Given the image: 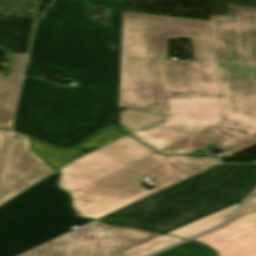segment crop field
<instances>
[{
    "mask_svg": "<svg viewBox=\"0 0 256 256\" xmlns=\"http://www.w3.org/2000/svg\"><path fill=\"white\" fill-rule=\"evenodd\" d=\"M58 172L0 206V256H15L90 219L77 218Z\"/></svg>",
    "mask_w": 256,
    "mask_h": 256,
    "instance_id": "f4fd0767",
    "label": "crop field"
},
{
    "mask_svg": "<svg viewBox=\"0 0 256 256\" xmlns=\"http://www.w3.org/2000/svg\"><path fill=\"white\" fill-rule=\"evenodd\" d=\"M124 135H126V134L121 132V131H119V132L115 133L114 135H112L111 137L107 138L106 140H104L103 142L99 143L98 145H96L95 147H93L91 149L95 150V149H97V148H99V147H101V146H103V145H105V144H107V143L117 139V138H120V137H122Z\"/></svg>",
    "mask_w": 256,
    "mask_h": 256,
    "instance_id": "dafd665d",
    "label": "crop field"
},
{
    "mask_svg": "<svg viewBox=\"0 0 256 256\" xmlns=\"http://www.w3.org/2000/svg\"><path fill=\"white\" fill-rule=\"evenodd\" d=\"M181 240L182 239H178L175 237L161 236L157 239H154L150 242H147L143 245H140L136 248L126 251L122 254L125 256H147V255L152 254L158 250H161L167 246L177 243Z\"/></svg>",
    "mask_w": 256,
    "mask_h": 256,
    "instance_id": "733c2abd",
    "label": "crop field"
},
{
    "mask_svg": "<svg viewBox=\"0 0 256 256\" xmlns=\"http://www.w3.org/2000/svg\"><path fill=\"white\" fill-rule=\"evenodd\" d=\"M165 116L155 113H145L136 110H125L120 112V125L130 134L146 125H149Z\"/></svg>",
    "mask_w": 256,
    "mask_h": 256,
    "instance_id": "d9b57169",
    "label": "crop field"
},
{
    "mask_svg": "<svg viewBox=\"0 0 256 256\" xmlns=\"http://www.w3.org/2000/svg\"><path fill=\"white\" fill-rule=\"evenodd\" d=\"M51 1L37 22L12 129L71 147L118 109L123 0ZM98 7L108 8L106 25L90 18ZM44 68L64 71L77 87L38 79Z\"/></svg>",
    "mask_w": 256,
    "mask_h": 256,
    "instance_id": "8a807250",
    "label": "crop field"
},
{
    "mask_svg": "<svg viewBox=\"0 0 256 256\" xmlns=\"http://www.w3.org/2000/svg\"><path fill=\"white\" fill-rule=\"evenodd\" d=\"M192 37L196 62L161 60L168 96L219 94L210 22L123 12L119 107L168 114L158 58Z\"/></svg>",
    "mask_w": 256,
    "mask_h": 256,
    "instance_id": "ac0d7876",
    "label": "crop field"
},
{
    "mask_svg": "<svg viewBox=\"0 0 256 256\" xmlns=\"http://www.w3.org/2000/svg\"><path fill=\"white\" fill-rule=\"evenodd\" d=\"M210 16L224 120L196 135L230 154L256 144V10Z\"/></svg>",
    "mask_w": 256,
    "mask_h": 256,
    "instance_id": "34b2d1b8",
    "label": "crop field"
},
{
    "mask_svg": "<svg viewBox=\"0 0 256 256\" xmlns=\"http://www.w3.org/2000/svg\"><path fill=\"white\" fill-rule=\"evenodd\" d=\"M209 142L192 134L158 152L161 153H176V154H190V152L208 144Z\"/></svg>",
    "mask_w": 256,
    "mask_h": 256,
    "instance_id": "bc2a9ffb",
    "label": "crop field"
},
{
    "mask_svg": "<svg viewBox=\"0 0 256 256\" xmlns=\"http://www.w3.org/2000/svg\"><path fill=\"white\" fill-rule=\"evenodd\" d=\"M11 135L18 138L8 142L0 176V203L54 171L29 149L28 137L12 131Z\"/></svg>",
    "mask_w": 256,
    "mask_h": 256,
    "instance_id": "3316defc",
    "label": "crop field"
},
{
    "mask_svg": "<svg viewBox=\"0 0 256 256\" xmlns=\"http://www.w3.org/2000/svg\"><path fill=\"white\" fill-rule=\"evenodd\" d=\"M8 131L0 130V160Z\"/></svg>",
    "mask_w": 256,
    "mask_h": 256,
    "instance_id": "00972430",
    "label": "crop field"
},
{
    "mask_svg": "<svg viewBox=\"0 0 256 256\" xmlns=\"http://www.w3.org/2000/svg\"><path fill=\"white\" fill-rule=\"evenodd\" d=\"M156 190H159V189L154 188V189H152L150 191L143 192V193H141V194H139V195H137V196H135V197H133L131 199H128V200H126V201H124V202H122V203H120V204H118V205H116V206H114V207H112V208H110V209H108V210H106V211H104V212H102V213L92 217V219H96V218H98V217H100V216H102V215H104L106 213H109V212H111V211H113V210H115L117 208H120V207H122V206H124V205H126L128 203H131V202H133V201H135L137 199H140V198H142V197H144V196H146V195H148V194H150V193H152V192H154Z\"/></svg>",
    "mask_w": 256,
    "mask_h": 256,
    "instance_id": "214f88e0",
    "label": "crop field"
},
{
    "mask_svg": "<svg viewBox=\"0 0 256 256\" xmlns=\"http://www.w3.org/2000/svg\"><path fill=\"white\" fill-rule=\"evenodd\" d=\"M256 195V191L254 192V194L252 196Z\"/></svg>",
    "mask_w": 256,
    "mask_h": 256,
    "instance_id": "a9b5d70f",
    "label": "crop field"
},
{
    "mask_svg": "<svg viewBox=\"0 0 256 256\" xmlns=\"http://www.w3.org/2000/svg\"><path fill=\"white\" fill-rule=\"evenodd\" d=\"M216 158L153 153L113 174L93 182L73 193V207L79 217L90 218L146 189L140 187L139 178L154 177V185L169 186L215 164ZM146 192V191H145Z\"/></svg>",
    "mask_w": 256,
    "mask_h": 256,
    "instance_id": "dd49c442",
    "label": "crop field"
},
{
    "mask_svg": "<svg viewBox=\"0 0 256 256\" xmlns=\"http://www.w3.org/2000/svg\"><path fill=\"white\" fill-rule=\"evenodd\" d=\"M117 130L114 127L104 129L100 134L88 139L77 148L57 149L32 139V148L52 167L59 168L86 150L95 146Z\"/></svg>",
    "mask_w": 256,
    "mask_h": 256,
    "instance_id": "cbeb9de0",
    "label": "crop field"
},
{
    "mask_svg": "<svg viewBox=\"0 0 256 256\" xmlns=\"http://www.w3.org/2000/svg\"><path fill=\"white\" fill-rule=\"evenodd\" d=\"M159 236L95 221L21 256H115Z\"/></svg>",
    "mask_w": 256,
    "mask_h": 256,
    "instance_id": "e52e79f7",
    "label": "crop field"
},
{
    "mask_svg": "<svg viewBox=\"0 0 256 256\" xmlns=\"http://www.w3.org/2000/svg\"><path fill=\"white\" fill-rule=\"evenodd\" d=\"M34 18L0 13V51L27 54Z\"/></svg>",
    "mask_w": 256,
    "mask_h": 256,
    "instance_id": "22f410ed",
    "label": "crop field"
},
{
    "mask_svg": "<svg viewBox=\"0 0 256 256\" xmlns=\"http://www.w3.org/2000/svg\"><path fill=\"white\" fill-rule=\"evenodd\" d=\"M117 256H123V255L119 254V255H117Z\"/></svg>",
    "mask_w": 256,
    "mask_h": 256,
    "instance_id": "4177f3b9",
    "label": "crop field"
},
{
    "mask_svg": "<svg viewBox=\"0 0 256 256\" xmlns=\"http://www.w3.org/2000/svg\"><path fill=\"white\" fill-rule=\"evenodd\" d=\"M239 205L240 203L222 209L218 212H215L192 223H189L185 226H182L176 230H173L167 234L177 235L184 239L192 237L196 234L209 230L223 223Z\"/></svg>",
    "mask_w": 256,
    "mask_h": 256,
    "instance_id": "5142ce71",
    "label": "crop field"
},
{
    "mask_svg": "<svg viewBox=\"0 0 256 256\" xmlns=\"http://www.w3.org/2000/svg\"><path fill=\"white\" fill-rule=\"evenodd\" d=\"M254 210H256V196L249 199L247 203L241 208V210L235 215V217L232 220Z\"/></svg>",
    "mask_w": 256,
    "mask_h": 256,
    "instance_id": "92a150f3",
    "label": "crop field"
},
{
    "mask_svg": "<svg viewBox=\"0 0 256 256\" xmlns=\"http://www.w3.org/2000/svg\"><path fill=\"white\" fill-rule=\"evenodd\" d=\"M153 152L127 136L58 170L59 187L71 193Z\"/></svg>",
    "mask_w": 256,
    "mask_h": 256,
    "instance_id": "5a996713",
    "label": "crop field"
},
{
    "mask_svg": "<svg viewBox=\"0 0 256 256\" xmlns=\"http://www.w3.org/2000/svg\"><path fill=\"white\" fill-rule=\"evenodd\" d=\"M26 56L7 53L4 60L8 61L6 74L0 73V127L9 128L19 92L21 75ZM10 71V73H7Z\"/></svg>",
    "mask_w": 256,
    "mask_h": 256,
    "instance_id": "d1516ede",
    "label": "crop field"
},
{
    "mask_svg": "<svg viewBox=\"0 0 256 256\" xmlns=\"http://www.w3.org/2000/svg\"><path fill=\"white\" fill-rule=\"evenodd\" d=\"M193 240L209 245L218 256H256V211Z\"/></svg>",
    "mask_w": 256,
    "mask_h": 256,
    "instance_id": "28ad6ade",
    "label": "crop field"
},
{
    "mask_svg": "<svg viewBox=\"0 0 256 256\" xmlns=\"http://www.w3.org/2000/svg\"><path fill=\"white\" fill-rule=\"evenodd\" d=\"M255 186L256 164L216 165L99 220L164 234L243 201Z\"/></svg>",
    "mask_w": 256,
    "mask_h": 256,
    "instance_id": "412701ff",
    "label": "crop field"
},
{
    "mask_svg": "<svg viewBox=\"0 0 256 256\" xmlns=\"http://www.w3.org/2000/svg\"><path fill=\"white\" fill-rule=\"evenodd\" d=\"M204 246L197 242L189 241L155 256H216L214 251Z\"/></svg>",
    "mask_w": 256,
    "mask_h": 256,
    "instance_id": "4a817a6b",
    "label": "crop field"
},
{
    "mask_svg": "<svg viewBox=\"0 0 256 256\" xmlns=\"http://www.w3.org/2000/svg\"><path fill=\"white\" fill-rule=\"evenodd\" d=\"M170 117L135 134L156 151L223 119L219 95L168 97Z\"/></svg>",
    "mask_w": 256,
    "mask_h": 256,
    "instance_id": "d8731c3e",
    "label": "crop field"
}]
</instances>
